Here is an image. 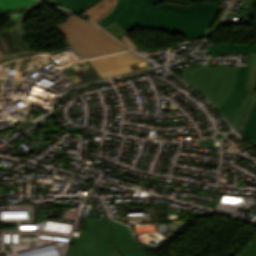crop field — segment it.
Masks as SVG:
<instances>
[{
	"label": "crop field",
	"mask_w": 256,
	"mask_h": 256,
	"mask_svg": "<svg viewBox=\"0 0 256 256\" xmlns=\"http://www.w3.org/2000/svg\"><path fill=\"white\" fill-rule=\"evenodd\" d=\"M117 2L118 0H102L82 15L97 23L110 14Z\"/></svg>",
	"instance_id": "d8731c3e"
},
{
	"label": "crop field",
	"mask_w": 256,
	"mask_h": 256,
	"mask_svg": "<svg viewBox=\"0 0 256 256\" xmlns=\"http://www.w3.org/2000/svg\"><path fill=\"white\" fill-rule=\"evenodd\" d=\"M99 1L100 0H51L49 2L72 9L81 14Z\"/></svg>",
	"instance_id": "5a996713"
},
{
	"label": "crop field",
	"mask_w": 256,
	"mask_h": 256,
	"mask_svg": "<svg viewBox=\"0 0 256 256\" xmlns=\"http://www.w3.org/2000/svg\"><path fill=\"white\" fill-rule=\"evenodd\" d=\"M8 13H11V12L8 11V10H4V9L0 8V15H5V14H8Z\"/></svg>",
	"instance_id": "4a817a6b"
},
{
	"label": "crop field",
	"mask_w": 256,
	"mask_h": 256,
	"mask_svg": "<svg viewBox=\"0 0 256 256\" xmlns=\"http://www.w3.org/2000/svg\"><path fill=\"white\" fill-rule=\"evenodd\" d=\"M27 7H28V5L23 6V7H19V9L23 11V12H20L21 16L11 18L10 14L7 15L8 19L12 22L14 27L22 25L23 20L29 14V12L25 11V9H24V8H27Z\"/></svg>",
	"instance_id": "cbeb9de0"
},
{
	"label": "crop field",
	"mask_w": 256,
	"mask_h": 256,
	"mask_svg": "<svg viewBox=\"0 0 256 256\" xmlns=\"http://www.w3.org/2000/svg\"><path fill=\"white\" fill-rule=\"evenodd\" d=\"M220 10L212 2L195 3L184 9L161 0H119L112 13L98 24L103 27L116 19L128 33L139 26L182 34L189 41L203 38L206 27Z\"/></svg>",
	"instance_id": "8a807250"
},
{
	"label": "crop field",
	"mask_w": 256,
	"mask_h": 256,
	"mask_svg": "<svg viewBox=\"0 0 256 256\" xmlns=\"http://www.w3.org/2000/svg\"><path fill=\"white\" fill-rule=\"evenodd\" d=\"M36 0H0V7L11 11H20L16 7L36 3Z\"/></svg>",
	"instance_id": "d1516ede"
},
{
	"label": "crop field",
	"mask_w": 256,
	"mask_h": 256,
	"mask_svg": "<svg viewBox=\"0 0 256 256\" xmlns=\"http://www.w3.org/2000/svg\"><path fill=\"white\" fill-rule=\"evenodd\" d=\"M245 92L248 93L243 103L241 104L238 112L236 113L234 119L230 123L238 131H240L241 129V125L256 94V54H252L251 57L250 72Z\"/></svg>",
	"instance_id": "e52e79f7"
},
{
	"label": "crop field",
	"mask_w": 256,
	"mask_h": 256,
	"mask_svg": "<svg viewBox=\"0 0 256 256\" xmlns=\"http://www.w3.org/2000/svg\"><path fill=\"white\" fill-rule=\"evenodd\" d=\"M237 70V83L235 84L232 92L225 100V102L220 107V112L228 119L230 122L236 111L238 110L240 104L242 103L246 93H244L247 76L249 72V67H238ZM226 119V120H227Z\"/></svg>",
	"instance_id": "f4fd0767"
},
{
	"label": "crop field",
	"mask_w": 256,
	"mask_h": 256,
	"mask_svg": "<svg viewBox=\"0 0 256 256\" xmlns=\"http://www.w3.org/2000/svg\"><path fill=\"white\" fill-rule=\"evenodd\" d=\"M240 256H256V237L250 242Z\"/></svg>",
	"instance_id": "5142ce71"
},
{
	"label": "crop field",
	"mask_w": 256,
	"mask_h": 256,
	"mask_svg": "<svg viewBox=\"0 0 256 256\" xmlns=\"http://www.w3.org/2000/svg\"><path fill=\"white\" fill-rule=\"evenodd\" d=\"M212 52L256 53V45L218 44L217 50H212Z\"/></svg>",
	"instance_id": "28ad6ade"
},
{
	"label": "crop field",
	"mask_w": 256,
	"mask_h": 256,
	"mask_svg": "<svg viewBox=\"0 0 256 256\" xmlns=\"http://www.w3.org/2000/svg\"><path fill=\"white\" fill-rule=\"evenodd\" d=\"M104 28L119 38L125 34H128L116 20L107 24Z\"/></svg>",
	"instance_id": "22f410ed"
},
{
	"label": "crop field",
	"mask_w": 256,
	"mask_h": 256,
	"mask_svg": "<svg viewBox=\"0 0 256 256\" xmlns=\"http://www.w3.org/2000/svg\"><path fill=\"white\" fill-rule=\"evenodd\" d=\"M1 57H3V54H2V52H1V50H0V58H1Z\"/></svg>",
	"instance_id": "92a150f3"
},
{
	"label": "crop field",
	"mask_w": 256,
	"mask_h": 256,
	"mask_svg": "<svg viewBox=\"0 0 256 256\" xmlns=\"http://www.w3.org/2000/svg\"><path fill=\"white\" fill-rule=\"evenodd\" d=\"M248 141L256 147V141H251V140H248Z\"/></svg>",
	"instance_id": "214f88e0"
},
{
	"label": "crop field",
	"mask_w": 256,
	"mask_h": 256,
	"mask_svg": "<svg viewBox=\"0 0 256 256\" xmlns=\"http://www.w3.org/2000/svg\"><path fill=\"white\" fill-rule=\"evenodd\" d=\"M46 1H49V0H46Z\"/></svg>",
	"instance_id": "dafd665d"
},
{
	"label": "crop field",
	"mask_w": 256,
	"mask_h": 256,
	"mask_svg": "<svg viewBox=\"0 0 256 256\" xmlns=\"http://www.w3.org/2000/svg\"><path fill=\"white\" fill-rule=\"evenodd\" d=\"M0 196H4V188H0Z\"/></svg>",
	"instance_id": "bc2a9ffb"
},
{
	"label": "crop field",
	"mask_w": 256,
	"mask_h": 256,
	"mask_svg": "<svg viewBox=\"0 0 256 256\" xmlns=\"http://www.w3.org/2000/svg\"><path fill=\"white\" fill-rule=\"evenodd\" d=\"M183 80L219 108L236 82V67H198L197 70H183Z\"/></svg>",
	"instance_id": "412701ff"
},
{
	"label": "crop field",
	"mask_w": 256,
	"mask_h": 256,
	"mask_svg": "<svg viewBox=\"0 0 256 256\" xmlns=\"http://www.w3.org/2000/svg\"><path fill=\"white\" fill-rule=\"evenodd\" d=\"M0 46L4 55L11 53L2 32H0Z\"/></svg>",
	"instance_id": "d9b57169"
},
{
	"label": "crop field",
	"mask_w": 256,
	"mask_h": 256,
	"mask_svg": "<svg viewBox=\"0 0 256 256\" xmlns=\"http://www.w3.org/2000/svg\"><path fill=\"white\" fill-rule=\"evenodd\" d=\"M71 46L85 58L128 49L97 26L75 14L56 26Z\"/></svg>",
	"instance_id": "34b2d1b8"
},
{
	"label": "crop field",
	"mask_w": 256,
	"mask_h": 256,
	"mask_svg": "<svg viewBox=\"0 0 256 256\" xmlns=\"http://www.w3.org/2000/svg\"><path fill=\"white\" fill-rule=\"evenodd\" d=\"M87 232L69 247L66 256H147L128 226L108 218L86 220Z\"/></svg>",
	"instance_id": "ac0d7876"
},
{
	"label": "crop field",
	"mask_w": 256,
	"mask_h": 256,
	"mask_svg": "<svg viewBox=\"0 0 256 256\" xmlns=\"http://www.w3.org/2000/svg\"><path fill=\"white\" fill-rule=\"evenodd\" d=\"M96 69L99 76L115 75L118 73L131 71L130 64L134 61L126 53L113 56L101 57L89 61Z\"/></svg>",
	"instance_id": "dd49c442"
},
{
	"label": "crop field",
	"mask_w": 256,
	"mask_h": 256,
	"mask_svg": "<svg viewBox=\"0 0 256 256\" xmlns=\"http://www.w3.org/2000/svg\"><path fill=\"white\" fill-rule=\"evenodd\" d=\"M120 39H122L129 47H131L132 49H134V50H138L137 48H136V46L133 44V42L128 38V36L126 35V36H124V37H122V38H120ZM121 40V41H122Z\"/></svg>",
	"instance_id": "733c2abd"
},
{
	"label": "crop field",
	"mask_w": 256,
	"mask_h": 256,
	"mask_svg": "<svg viewBox=\"0 0 256 256\" xmlns=\"http://www.w3.org/2000/svg\"><path fill=\"white\" fill-rule=\"evenodd\" d=\"M242 134L245 138L256 139V101L248 115Z\"/></svg>",
	"instance_id": "3316defc"
}]
</instances>
